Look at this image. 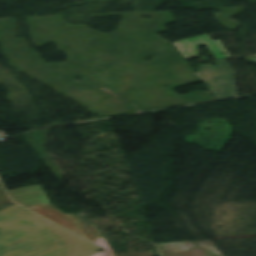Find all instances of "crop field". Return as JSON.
<instances>
[{
	"label": "crop field",
	"instance_id": "crop-field-9",
	"mask_svg": "<svg viewBox=\"0 0 256 256\" xmlns=\"http://www.w3.org/2000/svg\"><path fill=\"white\" fill-rule=\"evenodd\" d=\"M96 256H100V255L98 254V255H96Z\"/></svg>",
	"mask_w": 256,
	"mask_h": 256
},
{
	"label": "crop field",
	"instance_id": "crop-field-7",
	"mask_svg": "<svg viewBox=\"0 0 256 256\" xmlns=\"http://www.w3.org/2000/svg\"><path fill=\"white\" fill-rule=\"evenodd\" d=\"M102 245L104 248L107 249V251L100 253L101 256H114V253H113V250H112L110 244H102Z\"/></svg>",
	"mask_w": 256,
	"mask_h": 256
},
{
	"label": "crop field",
	"instance_id": "crop-field-2",
	"mask_svg": "<svg viewBox=\"0 0 256 256\" xmlns=\"http://www.w3.org/2000/svg\"><path fill=\"white\" fill-rule=\"evenodd\" d=\"M29 210L99 246H101L102 243H108L94 225L90 224L86 219L80 216L66 215L51 204L29 208Z\"/></svg>",
	"mask_w": 256,
	"mask_h": 256
},
{
	"label": "crop field",
	"instance_id": "crop-field-6",
	"mask_svg": "<svg viewBox=\"0 0 256 256\" xmlns=\"http://www.w3.org/2000/svg\"><path fill=\"white\" fill-rule=\"evenodd\" d=\"M3 191H5V190L2 187V185L0 184V206L4 205L7 202H10L6 192H3Z\"/></svg>",
	"mask_w": 256,
	"mask_h": 256
},
{
	"label": "crop field",
	"instance_id": "crop-field-5",
	"mask_svg": "<svg viewBox=\"0 0 256 256\" xmlns=\"http://www.w3.org/2000/svg\"><path fill=\"white\" fill-rule=\"evenodd\" d=\"M9 193L14 202L25 208L49 203L44 191L41 189L40 186L12 190L9 191Z\"/></svg>",
	"mask_w": 256,
	"mask_h": 256
},
{
	"label": "crop field",
	"instance_id": "crop-field-3",
	"mask_svg": "<svg viewBox=\"0 0 256 256\" xmlns=\"http://www.w3.org/2000/svg\"><path fill=\"white\" fill-rule=\"evenodd\" d=\"M217 64V66H212L210 63L201 65L197 72L198 76L216 100L237 96L235 72L227 61H220Z\"/></svg>",
	"mask_w": 256,
	"mask_h": 256
},
{
	"label": "crop field",
	"instance_id": "crop-field-1",
	"mask_svg": "<svg viewBox=\"0 0 256 256\" xmlns=\"http://www.w3.org/2000/svg\"><path fill=\"white\" fill-rule=\"evenodd\" d=\"M0 256H92L97 247L18 207L0 211Z\"/></svg>",
	"mask_w": 256,
	"mask_h": 256
},
{
	"label": "crop field",
	"instance_id": "crop-field-8",
	"mask_svg": "<svg viewBox=\"0 0 256 256\" xmlns=\"http://www.w3.org/2000/svg\"><path fill=\"white\" fill-rule=\"evenodd\" d=\"M153 252H149V253H140V254H118L115 256H149L152 255Z\"/></svg>",
	"mask_w": 256,
	"mask_h": 256
},
{
	"label": "crop field",
	"instance_id": "crop-field-4",
	"mask_svg": "<svg viewBox=\"0 0 256 256\" xmlns=\"http://www.w3.org/2000/svg\"><path fill=\"white\" fill-rule=\"evenodd\" d=\"M177 49L188 58L198 57V47L207 45L215 59L231 58L220 40L213 41L208 35L197 36L174 43ZM222 53H226L225 56Z\"/></svg>",
	"mask_w": 256,
	"mask_h": 256
}]
</instances>
